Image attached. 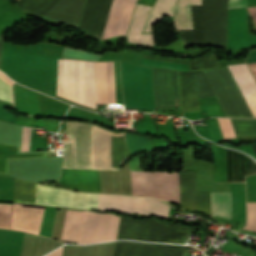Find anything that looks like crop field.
Returning <instances> with one entry per match:
<instances>
[{
    "mask_svg": "<svg viewBox=\"0 0 256 256\" xmlns=\"http://www.w3.org/2000/svg\"><path fill=\"white\" fill-rule=\"evenodd\" d=\"M170 206L153 198L98 194V209L167 218Z\"/></svg>",
    "mask_w": 256,
    "mask_h": 256,
    "instance_id": "6",
    "label": "crop field"
},
{
    "mask_svg": "<svg viewBox=\"0 0 256 256\" xmlns=\"http://www.w3.org/2000/svg\"><path fill=\"white\" fill-rule=\"evenodd\" d=\"M190 5H201V0H156L143 32H152L163 14L173 17L176 30L192 29Z\"/></svg>",
    "mask_w": 256,
    "mask_h": 256,
    "instance_id": "8",
    "label": "crop field"
},
{
    "mask_svg": "<svg viewBox=\"0 0 256 256\" xmlns=\"http://www.w3.org/2000/svg\"><path fill=\"white\" fill-rule=\"evenodd\" d=\"M212 214L231 217L230 192H211Z\"/></svg>",
    "mask_w": 256,
    "mask_h": 256,
    "instance_id": "17",
    "label": "crop field"
},
{
    "mask_svg": "<svg viewBox=\"0 0 256 256\" xmlns=\"http://www.w3.org/2000/svg\"><path fill=\"white\" fill-rule=\"evenodd\" d=\"M97 102L116 103L113 62H94Z\"/></svg>",
    "mask_w": 256,
    "mask_h": 256,
    "instance_id": "12",
    "label": "crop field"
},
{
    "mask_svg": "<svg viewBox=\"0 0 256 256\" xmlns=\"http://www.w3.org/2000/svg\"><path fill=\"white\" fill-rule=\"evenodd\" d=\"M84 3L85 0H60L45 17L78 27Z\"/></svg>",
    "mask_w": 256,
    "mask_h": 256,
    "instance_id": "13",
    "label": "crop field"
},
{
    "mask_svg": "<svg viewBox=\"0 0 256 256\" xmlns=\"http://www.w3.org/2000/svg\"><path fill=\"white\" fill-rule=\"evenodd\" d=\"M224 138H236L230 120L228 118H218Z\"/></svg>",
    "mask_w": 256,
    "mask_h": 256,
    "instance_id": "24",
    "label": "crop field"
},
{
    "mask_svg": "<svg viewBox=\"0 0 256 256\" xmlns=\"http://www.w3.org/2000/svg\"><path fill=\"white\" fill-rule=\"evenodd\" d=\"M0 99L13 102L11 80L0 73Z\"/></svg>",
    "mask_w": 256,
    "mask_h": 256,
    "instance_id": "20",
    "label": "crop field"
},
{
    "mask_svg": "<svg viewBox=\"0 0 256 256\" xmlns=\"http://www.w3.org/2000/svg\"><path fill=\"white\" fill-rule=\"evenodd\" d=\"M252 19L254 20L255 24H256V7H250V8H247Z\"/></svg>",
    "mask_w": 256,
    "mask_h": 256,
    "instance_id": "26",
    "label": "crop field"
},
{
    "mask_svg": "<svg viewBox=\"0 0 256 256\" xmlns=\"http://www.w3.org/2000/svg\"><path fill=\"white\" fill-rule=\"evenodd\" d=\"M94 125L66 122L71 141L65 145L62 168L92 169Z\"/></svg>",
    "mask_w": 256,
    "mask_h": 256,
    "instance_id": "5",
    "label": "crop field"
},
{
    "mask_svg": "<svg viewBox=\"0 0 256 256\" xmlns=\"http://www.w3.org/2000/svg\"><path fill=\"white\" fill-rule=\"evenodd\" d=\"M247 6V0H229L228 8Z\"/></svg>",
    "mask_w": 256,
    "mask_h": 256,
    "instance_id": "25",
    "label": "crop field"
},
{
    "mask_svg": "<svg viewBox=\"0 0 256 256\" xmlns=\"http://www.w3.org/2000/svg\"><path fill=\"white\" fill-rule=\"evenodd\" d=\"M101 55H94L85 51L73 50L65 47L63 58H78L98 61Z\"/></svg>",
    "mask_w": 256,
    "mask_h": 256,
    "instance_id": "21",
    "label": "crop field"
},
{
    "mask_svg": "<svg viewBox=\"0 0 256 256\" xmlns=\"http://www.w3.org/2000/svg\"><path fill=\"white\" fill-rule=\"evenodd\" d=\"M249 67H250V69L252 71V74H253L255 80H256V65H251Z\"/></svg>",
    "mask_w": 256,
    "mask_h": 256,
    "instance_id": "28",
    "label": "crop field"
},
{
    "mask_svg": "<svg viewBox=\"0 0 256 256\" xmlns=\"http://www.w3.org/2000/svg\"><path fill=\"white\" fill-rule=\"evenodd\" d=\"M2 45H3V35H0V60H1Z\"/></svg>",
    "mask_w": 256,
    "mask_h": 256,
    "instance_id": "29",
    "label": "crop field"
},
{
    "mask_svg": "<svg viewBox=\"0 0 256 256\" xmlns=\"http://www.w3.org/2000/svg\"><path fill=\"white\" fill-rule=\"evenodd\" d=\"M36 204L97 209V194L37 184Z\"/></svg>",
    "mask_w": 256,
    "mask_h": 256,
    "instance_id": "7",
    "label": "crop field"
},
{
    "mask_svg": "<svg viewBox=\"0 0 256 256\" xmlns=\"http://www.w3.org/2000/svg\"><path fill=\"white\" fill-rule=\"evenodd\" d=\"M135 2L136 0H113L103 38L126 34Z\"/></svg>",
    "mask_w": 256,
    "mask_h": 256,
    "instance_id": "11",
    "label": "crop field"
},
{
    "mask_svg": "<svg viewBox=\"0 0 256 256\" xmlns=\"http://www.w3.org/2000/svg\"><path fill=\"white\" fill-rule=\"evenodd\" d=\"M182 172L131 171L132 195L150 196L179 205L182 199L181 207L211 214L210 192L196 193L195 171Z\"/></svg>",
    "mask_w": 256,
    "mask_h": 256,
    "instance_id": "1",
    "label": "crop field"
},
{
    "mask_svg": "<svg viewBox=\"0 0 256 256\" xmlns=\"http://www.w3.org/2000/svg\"><path fill=\"white\" fill-rule=\"evenodd\" d=\"M236 135H256V119H230Z\"/></svg>",
    "mask_w": 256,
    "mask_h": 256,
    "instance_id": "18",
    "label": "crop field"
},
{
    "mask_svg": "<svg viewBox=\"0 0 256 256\" xmlns=\"http://www.w3.org/2000/svg\"><path fill=\"white\" fill-rule=\"evenodd\" d=\"M227 5L228 0H202V6H191L193 30L176 31L183 44L226 46Z\"/></svg>",
    "mask_w": 256,
    "mask_h": 256,
    "instance_id": "2",
    "label": "crop field"
},
{
    "mask_svg": "<svg viewBox=\"0 0 256 256\" xmlns=\"http://www.w3.org/2000/svg\"><path fill=\"white\" fill-rule=\"evenodd\" d=\"M152 7L136 5L128 34V43L153 46L151 33L141 34Z\"/></svg>",
    "mask_w": 256,
    "mask_h": 256,
    "instance_id": "15",
    "label": "crop field"
},
{
    "mask_svg": "<svg viewBox=\"0 0 256 256\" xmlns=\"http://www.w3.org/2000/svg\"><path fill=\"white\" fill-rule=\"evenodd\" d=\"M156 109L180 107L177 72L153 68Z\"/></svg>",
    "mask_w": 256,
    "mask_h": 256,
    "instance_id": "10",
    "label": "crop field"
},
{
    "mask_svg": "<svg viewBox=\"0 0 256 256\" xmlns=\"http://www.w3.org/2000/svg\"><path fill=\"white\" fill-rule=\"evenodd\" d=\"M16 110L30 115H39L37 95L35 91L15 84Z\"/></svg>",
    "mask_w": 256,
    "mask_h": 256,
    "instance_id": "16",
    "label": "crop field"
},
{
    "mask_svg": "<svg viewBox=\"0 0 256 256\" xmlns=\"http://www.w3.org/2000/svg\"><path fill=\"white\" fill-rule=\"evenodd\" d=\"M12 205L0 204V228L9 229Z\"/></svg>",
    "mask_w": 256,
    "mask_h": 256,
    "instance_id": "22",
    "label": "crop field"
},
{
    "mask_svg": "<svg viewBox=\"0 0 256 256\" xmlns=\"http://www.w3.org/2000/svg\"><path fill=\"white\" fill-rule=\"evenodd\" d=\"M141 65H146L150 67H158V68H167L179 71H188L187 64H178L172 62H165V61H157V60H148V59H140Z\"/></svg>",
    "mask_w": 256,
    "mask_h": 256,
    "instance_id": "19",
    "label": "crop field"
},
{
    "mask_svg": "<svg viewBox=\"0 0 256 256\" xmlns=\"http://www.w3.org/2000/svg\"><path fill=\"white\" fill-rule=\"evenodd\" d=\"M254 117H256V84L246 64L228 66Z\"/></svg>",
    "mask_w": 256,
    "mask_h": 256,
    "instance_id": "14",
    "label": "crop field"
},
{
    "mask_svg": "<svg viewBox=\"0 0 256 256\" xmlns=\"http://www.w3.org/2000/svg\"><path fill=\"white\" fill-rule=\"evenodd\" d=\"M112 0H86L79 30L100 41L107 21Z\"/></svg>",
    "mask_w": 256,
    "mask_h": 256,
    "instance_id": "9",
    "label": "crop field"
},
{
    "mask_svg": "<svg viewBox=\"0 0 256 256\" xmlns=\"http://www.w3.org/2000/svg\"><path fill=\"white\" fill-rule=\"evenodd\" d=\"M57 95L96 109L93 62L58 59Z\"/></svg>",
    "mask_w": 256,
    "mask_h": 256,
    "instance_id": "3",
    "label": "crop field"
},
{
    "mask_svg": "<svg viewBox=\"0 0 256 256\" xmlns=\"http://www.w3.org/2000/svg\"><path fill=\"white\" fill-rule=\"evenodd\" d=\"M120 217L90 211H68L61 238L78 244L116 240Z\"/></svg>",
    "mask_w": 256,
    "mask_h": 256,
    "instance_id": "4",
    "label": "crop field"
},
{
    "mask_svg": "<svg viewBox=\"0 0 256 256\" xmlns=\"http://www.w3.org/2000/svg\"><path fill=\"white\" fill-rule=\"evenodd\" d=\"M61 249H62V247L57 249V250H55V251H53V252H51V253H49L46 256H60L61 255Z\"/></svg>",
    "mask_w": 256,
    "mask_h": 256,
    "instance_id": "27",
    "label": "crop field"
},
{
    "mask_svg": "<svg viewBox=\"0 0 256 256\" xmlns=\"http://www.w3.org/2000/svg\"><path fill=\"white\" fill-rule=\"evenodd\" d=\"M248 226L246 229L256 231V203H247Z\"/></svg>",
    "mask_w": 256,
    "mask_h": 256,
    "instance_id": "23",
    "label": "crop field"
}]
</instances>
